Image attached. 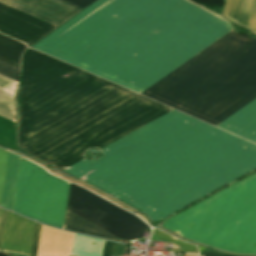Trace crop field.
Wrapping results in <instances>:
<instances>
[{
  "instance_id": "crop-field-1",
  "label": "crop field",
  "mask_w": 256,
  "mask_h": 256,
  "mask_svg": "<svg viewBox=\"0 0 256 256\" xmlns=\"http://www.w3.org/2000/svg\"><path fill=\"white\" fill-rule=\"evenodd\" d=\"M67 209L125 241L142 238L143 232L149 228L134 215L73 184L70 186ZM72 212L67 211L66 229L112 240L115 238L111 233Z\"/></svg>"
},
{
  "instance_id": "crop-field-2",
  "label": "crop field",
  "mask_w": 256,
  "mask_h": 256,
  "mask_svg": "<svg viewBox=\"0 0 256 256\" xmlns=\"http://www.w3.org/2000/svg\"><path fill=\"white\" fill-rule=\"evenodd\" d=\"M26 160H19L13 210L62 228L69 183Z\"/></svg>"
},
{
  "instance_id": "crop-field-3",
  "label": "crop field",
  "mask_w": 256,
  "mask_h": 256,
  "mask_svg": "<svg viewBox=\"0 0 256 256\" xmlns=\"http://www.w3.org/2000/svg\"><path fill=\"white\" fill-rule=\"evenodd\" d=\"M33 228V221L8 212L1 249L29 254Z\"/></svg>"
},
{
  "instance_id": "crop-field-4",
  "label": "crop field",
  "mask_w": 256,
  "mask_h": 256,
  "mask_svg": "<svg viewBox=\"0 0 256 256\" xmlns=\"http://www.w3.org/2000/svg\"><path fill=\"white\" fill-rule=\"evenodd\" d=\"M73 236L72 233L42 225L37 256H69Z\"/></svg>"
},
{
  "instance_id": "crop-field-5",
  "label": "crop field",
  "mask_w": 256,
  "mask_h": 256,
  "mask_svg": "<svg viewBox=\"0 0 256 256\" xmlns=\"http://www.w3.org/2000/svg\"><path fill=\"white\" fill-rule=\"evenodd\" d=\"M7 155H8L7 152L0 150V199L2 195L3 183L5 179V173H6ZM18 160H19L18 156H15L9 153L8 161H7L6 179L4 183L3 196L0 204L1 206H4L11 210L13 207Z\"/></svg>"
},
{
  "instance_id": "crop-field-6",
  "label": "crop field",
  "mask_w": 256,
  "mask_h": 256,
  "mask_svg": "<svg viewBox=\"0 0 256 256\" xmlns=\"http://www.w3.org/2000/svg\"><path fill=\"white\" fill-rule=\"evenodd\" d=\"M160 239L178 245L183 252L197 253L195 246L182 242L174 237H171L160 230L154 229L150 240L159 241Z\"/></svg>"
},
{
  "instance_id": "crop-field-7",
  "label": "crop field",
  "mask_w": 256,
  "mask_h": 256,
  "mask_svg": "<svg viewBox=\"0 0 256 256\" xmlns=\"http://www.w3.org/2000/svg\"><path fill=\"white\" fill-rule=\"evenodd\" d=\"M40 228H41V225L37 223L36 224V229H35L34 242H33V248H32L31 256H36L39 234H40Z\"/></svg>"
},
{
  "instance_id": "crop-field-8",
  "label": "crop field",
  "mask_w": 256,
  "mask_h": 256,
  "mask_svg": "<svg viewBox=\"0 0 256 256\" xmlns=\"http://www.w3.org/2000/svg\"><path fill=\"white\" fill-rule=\"evenodd\" d=\"M6 214H7L6 211L0 209V247H1V241H2V236H3L5 220H6Z\"/></svg>"
},
{
  "instance_id": "crop-field-9",
  "label": "crop field",
  "mask_w": 256,
  "mask_h": 256,
  "mask_svg": "<svg viewBox=\"0 0 256 256\" xmlns=\"http://www.w3.org/2000/svg\"><path fill=\"white\" fill-rule=\"evenodd\" d=\"M113 243L105 241L102 256H110Z\"/></svg>"
},
{
  "instance_id": "crop-field-10",
  "label": "crop field",
  "mask_w": 256,
  "mask_h": 256,
  "mask_svg": "<svg viewBox=\"0 0 256 256\" xmlns=\"http://www.w3.org/2000/svg\"><path fill=\"white\" fill-rule=\"evenodd\" d=\"M201 256H231V255H225V254H217V253L205 252V253L202 254Z\"/></svg>"
},
{
  "instance_id": "crop-field-11",
  "label": "crop field",
  "mask_w": 256,
  "mask_h": 256,
  "mask_svg": "<svg viewBox=\"0 0 256 256\" xmlns=\"http://www.w3.org/2000/svg\"><path fill=\"white\" fill-rule=\"evenodd\" d=\"M198 248H199V252H202L205 248H202V247H199L198 246Z\"/></svg>"
},
{
  "instance_id": "crop-field-12",
  "label": "crop field",
  "mask_w": 256,
  "mask_h": 256,
  "mask_svg": "<svg viewBox=\"0 0 256 256\" xmlns=\"http://www.w3.org/2000/svg\"><path fill=\"white\" fill-rule=\"evenodd\" d=\"M0 256H6V255H4V254L0 253Z\"/></svg>"
}]
</instances>
